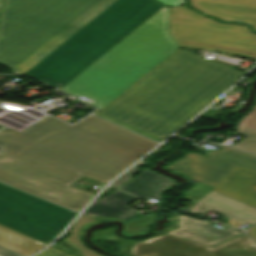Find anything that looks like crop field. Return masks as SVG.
I'll use <instances>...</instances> for the list:
<instances>
[{
  "label": "crop field",
  "instance_id": "8a807250",
  "mask_svg": "<svg viewBox=\"0 0 256 256\" xmlns=\"http://www.w3.org/2000/svg\"><path fill=\"white\" fill-rule=\"evenodd\" d=\"M155 145L94 116L72 127L49 117L20 133L0 132V181L80 211L93 195L73 182L86 175L107 183Z\"/></svg>",
  "mask_w": 256,
  "mask_h": 256
},
{
  "label": "crop field",
  "instance_id": "ac0d7876",
  "mask_svg": "<svg viewBox=\"0 0 256 256\" xmlns=\"http://www.w3.org/2000/svg\"><path fill=\"white\" fill-rule=\"evenodd\" d=\"M242 75L178 49L98 113L164 140Z\"/></svg>",
  "mask_w": 256,
  "mask_h": 256
},
{
  "label": "crop field",
  "instance_id": "34b2d1b8",
  "mask_svg": "<svg viewBox=\"0 0 256 256\" xmlns=\"http://www.w3.org/2000/svg\"><path fill=\"white\" fill-rule=\"evenodd\" d=\"M116 0H4L0 64L24 74Z\"/></svg>",
  "mask_w": 256,
  "mask_h": 256
},
{
  "label": "crop field",
  "instance_id": "412701ff",
  "mask_svg": "<svg viewBox=\"0 0 256 256\" xmlns=\"http://www.w3.org/2000/svg\"><path fill=\"white\" fill-rule=\"evenodd\" d=\"M168 13L162 7L61 90L105 107L178 48L169 35Z\"/></svg>",
  "mask_w": 256,
  "mask_h": 256
},
{
  "label": "crop field",
  "instance_id": "f4fd0767",
  "mask_svg": "<svg viewBox=\"0 0 256 256\" xmlns=\"http://www.w3.org/2000/svg\"><path fill=\"white\" fill-rule=\"evenodd\" d=\"M163 5L117 0L26 74L61 89Z\"/></svg>",
  "mask_w": 256,
  "mask_h": 256
},
{
  "label": "crop field",
  "instance_id": "dd49c442",
  "mask_svg": "<svg viewBox=\"0 0 256 256\" xmlns=\"http://www.w3.org/2000/svg\"><path fill=\"white\" fill-rule=\"evenodd\" d=\"M169 30L179 47L219 51L256 60V35L246 26L220 24L181 6L170 8Z\"/></svg>",
  "mask_w": 256,
  "mask_h": 256
},
{
  "label": "crop field",
  "instance_id": "e52e79f7",
  "mask_svg": "<svg viewBox=\"0 0 256 256\" xmlns=\"http://www.w3.org/2000/svg\"><path fill=\"white\" fill-rule=\"evenodd\" d=\"M77 214L0 183V225L49 244Z\"/></svg>",
  "mask_w": 256,
  "mask_h": 256
},
{
  "label": "crop field",
  "instance_id": "d8731c3e",
  "mask_svg": "<svg viewBox=\"0 0 256 256\" xmlns=\"http://www.w3.org/2000/svg\"><path fill=\"white\" fill-rule=\"evenodd\" d=\"M221 147L222 150L207 153L209 158L189 153L165 168L188 176L193 181L212 186L222 181L238 166L256 171L255 156Z\"/></svg>",
  "mask_w": 256,
  "mask_h": 256
},
{
  "label": "crop field",
  "instance_id": "5a996713",
  "mask_svg": "<svg viewBox=\"0 0 256 256\" xmlns=\"http://www.w3.org/2000/svg\"><path fill=\"white\" fill-rule=\"evenodd\" d=\"M148 256H256V243L242 234L225 243L209 248L164 235Z\"/></svg>",
  "mask_w": 256,
  "mask_h": 256
},
{
  "label": "crop field",
  "instance_id": "3316defc",
  "mask_svg": "<svg viewBox=\"0 0 256 256\" xmlns=\"http://www.w3.org/2000/svg\"><path fill=\"white\" fill-rule=\"evenodd\" d=\"M214 211L229 219V225L240 227L244 224L256 223V209L237 200L211 190L200 199L190 210L191 214Z\"/></svg>",
  "mask_w": 256,
  "mask_h": 256
},
{
  "label": "crop field",
  "instance_id": "28ad6ade",
  "mask_svg": "<svg viewBox=\"0 0 256 256\" xmlns=\"http://www.w3.org/2000/svg\"><path fill=\"white\" fill-rule=\"evenodd\" d=\"M190 5L225 21H242L256 29V0H190Z\"/></svg>",
  "mask_w": 256,
  "mask_h": 256
},
{
  "label": "crop field",
  "instance_id": "d1516ede",
  "mask_svg": "<svg viewBox=\"0 0 256 256\" xmlns=\"http://www.w3.org/2000/svg\"><path fill=\"white\" fill-rule=\"evenodd\" d=\"M179 228L166 233L199 244L213 247L217 244L232 239L242 233L236 229L227 227L224 230H217L209 222L200 221L185 216H178Z\"/></svg>",
  "mask_w": 256,
  "mask_h": 256
},
{
  "label": "crop field",
  "instance_id": "22f410ed",
  "mask_svg": "<svg viewBox=\"0 0 256 256\" xmlns=\"http://www.w3.org/2000/svg\"><path fill=\"white\" fill-rule=\"evenodd\" d=\"M213 190L256 208V172L238 167Z\"/></svg>",
  "mask_w": 256,
  "mask_h": 256
},
{
  "label": "crop field",
  "instance_id": "cbeb9de0",
  "mask_svg": "<svg viewBox=\"0 0 256 256\" xmlns=\"http://www.w3.org/2000/svg\"><path fill=\"white\" fill-rule=\"evenodd\" d=\"M135 199L116 190L110 195L94 201L84 214L90 217L108 216L124 220L135 214L134 209L127 207Z\"/></svg>",
  "mask_w": 256,
  "mask_h": 256
},
{
  "label": "crop field",
  "instance_id": "5142ce71",
  "mask_svg": "<svg viewBox=\"0 0 256 256\" xmlns=\"http://www.w3.org/2000/svg\"><path fill=\"white\" fill-rule=\"evenodd\" d=\"M173 183H175V181L171 179L157 175L151 171L143 170L138 177L120 189L145 199L152 198L161 200L159 193L167 189Z\"/></svg>",
  "mask_w": 256,
  "mask_h": 256
},
{
  "label": "crop field",
  "instance_id": "d9b57169",
  "mask_svg": "<svg viewBox=\"0 0 256 256\" xmlns=\"http://www.w3.org/2000/svg\"><path fill=\"white\" fill-rule=\"evenodd\" d=\"M113 228H108L103 231L95 232L93 235V240L99 239H113L120 242V250L125 256H146L151 249L156 245V243L161 239V236L155 237L153 239L137 242V241H128L121 239L113 234Z\"/></svg>",
  "mask_w": 256,
  "mask_h": 256
},
{
  "label": "crop field",
  "instance_id": "733c2abd",
  "mask_svg": "<svg viewBox=\"0 0 256 256\" xmlns=\"http://www.w3.org/2000/svg\"><path fill=\"white\" fill-rule=\"evenodd\" d=\"M0 245L25 256L31 255L46 246L41 242H38L1 226Z\"/></svg>",
  "mask_w": 256,
  "mask_h": 256
},
{
  "label": "crop field",
  "instance_id": "4a817a6b",
  "mask_svg": "<svg viewBox=\"0 0 256 256\" xmlns=\"http://www.w3.org/2000/svg\"><path fill=\"white\" fill-rule=\"evenodd\" d=\"M238 133L246 136L235 148L256 154V107L237 127Z\"/></svg>",
  "mask_w": 256,
  "mask_h": 256
},
{
  "label": "crop field",
  "instance_id": "bc2a9ffb",
  "mask_svg": "<svg viewBox=\"0 0 256 256\" xmlns=\"http://www.w3.org/2000/svg\"><path fill=\"white\" fill-rule=\"evenodd\" d=\"M145 159L142 160L140 163H138L136 166H134L132 169H130L128 172H126L124 175H122L120 178H118L114 183L111 184V186L117 188L124 182H126L128 179H130L132 176L135 175V173L138 171L140 166L144 163Z\"/></svg>",
  "mask_w": 256,
  "mask_h": 256
},
{
  "label": "crop field",
  "instance_id": "214f88e0",
  "mask_svg": "<svg viewBox=\"0 0 256 256\" xmlns=\"http://www.w3.org/2000/svg\"><path fill=\"white\" fill-rule=\"evenodd\" d=\"M94 114L97 115V116H99V117H102V118H104V119H106V120H109V121H111V122H114V123H116V124H119V125H121V126H123V127H126V128H128V129H130V130H133V131H135V132H137V133H139V134H142V135H144V136H146V137H148V138H151V139H153V140H155V141H157V142H162V140H160V139H158V138H155V137H153V136H151V135H148V134H146V133H144V132H141V131H139V130H136V129L132 128V127H129V126L124 125V124H122V123L116 122V121H114V120H111V119L106 118V117H104V116H101V115H99V114H96V113H94Z\"/></svg>",
  "mask_w": 256,
  "mask_h": 256
},
{
  "label": "crop field",
  "instance_id": "92a150f3",
  "mask_svg": "<svg viewBox=\"0 0 256 256\" xmlns=\"http://www.w3.org/2000/svg\"><path fill=\"white\" fill-rule=\"evenodd\" d=\"M37 256H70V255L50 247Z\"/></svg>",
  "mask_w": 256,
  "mask_h": 256
},
{
  "label": "crop field",
  "instance_id": "dafd665d",
  "mask_svg": "<svg viewBox=\"0 0 256 256\" xmlns=\"http://www.w3.org/2000/svg\"><path fill=\"white\" fill-rule=\"evenodd\" d=\"M158 1L163 2L167 5H178V4L186 3L184 0H158Z\"/></svg>",
  "mask_w": 256,
  "mask_h": 256
},
{
  "label": "crop field",
  "instance_id": "00972430",
  "mask_svg": "<svg viewBox=\"0 0 256 256\" xmlns=\"http://www.w3.org/2000/svg\"><path fill=\"white\" fill-rule=\"evenodd\" d=\"M217 112H218V111L215 110V109H210V108H208L205 112H203V113L201 114V116H203V117L209 119L210 117H212V116H213L214 114H216Z\"/></svg>",
  "mask_w": 256,
  "mask_h": 256
},
{
  "label": "crop field",
  "instance_id": "a9b5d70f",
  "mask_svg": "<svg viewBox=\"0 0 256 256\" xmlns=\"http://www.w3.org/2000/svg\"><path fill=\"white\" fill-rule=\"evenodd\" d=\"M0 255L1 256H19L17 254H14V253H12L10 251H7V250L1 248V247H0Z\"/></svg>",
  "mask_w": 256,
  "mask_h": 256
},
{
  "label": "crop field",
  "instance_id": "4177f3b9",
  "mask_svg": "<svg viewBox=\"0 0 256 256\" xmlns=\"http://www.w3.org/2000/svg\"><path fill=\"white\" fill-rule=\"evenodd\" d=\"M242 91H243V89L234 87L230 92L227 93V95L234 94V95L238 96Z\"/></svg>",
  "mask_w": 256,
  "mask_h": 256
},
{
  "label": "crop field",
  "instance_id": "730fd06b",
  "mask_svg": "<svg viewBox=\"0 0 256 256\" xmlns=\"http://www.w3.org/2000/svg\"><path fill=\"white\" fill-rule=\"evenodd\" d=\"M247 232L250 236H252L256 240V226L249 229Z\"/></svg>",
  "mask_w": 256,
  "mask_h": 256
},
{
  "label": "crop field",
  "instance_id": "eef30255",
  "mask_svg": "<svg viewBox=\"0 0 256 256\" xmlns=\"http://www.w3.org/2000/svg\"><path fill=\"white\" fill-rule=\"evenodd\" d=\"M2 0H0V2H1Z\"/></svg>",
  "mask_w": 256,
  "mask_h": 256
},
{
  "label": "crop field",
  "instance_id": "ae1a2a85",
  "mask_svg": "<svg viewBox=\"0 0 256 256\" xmlns=\"http://www.w3.org/2000/svg\"><path fill=\"white\" fill-rule=\"evenodd\" d=\"M0 6H1V4H0Z\"/></svg>",
  "mask_w": 256,
  "mask_h": 256
}]
</instances>
